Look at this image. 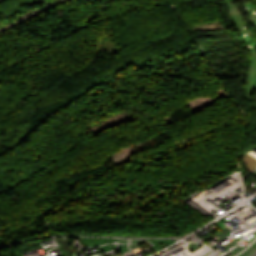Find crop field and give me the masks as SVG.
Here are the masks:
<instances>
[{
  "mask_svg": "<svg viewBox=\"0 0 256 256\" xmlns=\"http://www.w3.org/2000/svg\"><path fill=\"white\" fill-rule=\"evenodd\" d=\"M70 246H71V244H70ZM71 252H73V251H72V248H71ZM71 256H72V254H71Z\"/></svg>",
  "mask_w": 256,
  "mask_h": 256,
  "instance_id": "crop-field-1",
  "label": "crop field"
}]
</instances>
